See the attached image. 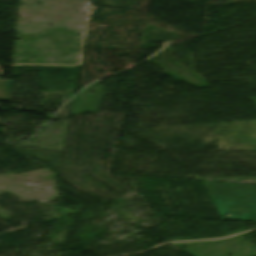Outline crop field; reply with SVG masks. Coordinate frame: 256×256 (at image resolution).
Returning <instances> with one entry per match:
<instances>
[{"instance_id": "1", "label": "crop field", "mask_w": 256, "mask_h": 256, "mask_svg": "<svg viewBox=\"0 0 256 256\" xmlns=\"http://www.w3.org/2000/svg\"><path fill=\"white\" fill-rule=\"evenodd\" d=\"M221 219L256 221L254 185L203 181Z\"/></svg>"}, {"instance_id": "2", "label": "crop field", "mask_w": 256, "mask_h": 256, "mask_svg": "<svg viewBox=\"0 0 256 256\" xmlns=\"http://www.w3.org/2000/svg\"><path fill=\"white\" fill-rule=\"evenodd\" d=\"M12 81L0 79V100H8Z\"/></svg>"}]
</instances>
